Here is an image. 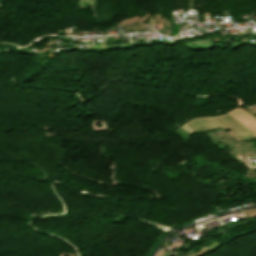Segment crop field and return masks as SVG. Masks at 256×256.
Wrapping results in <instances>:
<instances>
[{
    "instance_id": "2",
    "label": "crop field",
    "mask_w": 256,
    "mask_h": 256,
    "mask_svg": "<svg viewBox=\"0 0 256 256\" xmlns=\"http://www.w3.org/2000/svg\"><path fill=\"white\" fill-rule=\"evenodd\" d=\"M239 109L241 112H243L244 114H246L247 116H249L251 119H253L254 121H256V119L251 116L249 113H247L246 111H244L241 107L237 108ZM234 109L232 110V112H234L236 115H238L240 118L244 119L245 121H247L248 123H250L252 126H254L256 128V122H254L253 120H251L249 117H247L246 115H244L243 113H241L239 110ZM231 111L227 112L229 113L232 117H234L236 120H238L240 123H242L244 126H246L248 129H250L252 132H254L256 134V129L253 128L251 125H249L247 122L243 121L242 119H240L238 116H236L234 113H232Z\"/></svg>"
},
{
    "instance_id": "1",
    "label": "crop field",
    "mask_w": 256,
    "mask_h": 256,
    "mask_svg": "<svg viewBox=\"0 0 256 256\" xmlns=\"http://www.w3.org/2000/svg\"><path fill=\"white\" fill-rule=\"evenodd\" d=\"M224 116L227 117L229 120H231L234 124H236L242 130L247 132L249 135H251L253 138H256L255 134H253L248 129H246L244 126H242L240 123H238L230 115H228L226 113ZM224 116L223 115H217V116H214V117L217 118L219 121H221L224 125H226L231 130V133H233L239 139L245 140V139H251L252 138L247 133H245L244 131L239 129L236 125H234L231 121H229ZM214 117L213 116H208V117L193 119L192 121H190L187 124H189L191 127H193L197 131L198 130L213 129V128H223V127L227 128L226 126H224L221 122H219ZM187 124H185V125H187ZM189 125H187V126L189 128H191ZM193 128H191V129L194 130Z\"/></svg>"
},
{
    "instance_id": "3",
    "label": "crop field",
    "mask_w": 256,
    "mask_h": 256,
    "mask_svg": "<svg viewBox=\"0 0 256 256\" xmlns=\"http://www.w3.org/2000/svg\"><path fill=\"white\" fill-rule=\"evenodd\" d=\"M254 111L256 112V109Z\"/></svg>"
}]
</instances>
